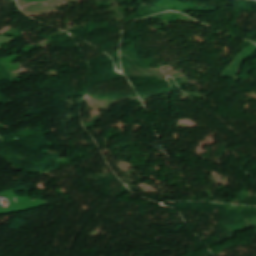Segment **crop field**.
<instances>
[{
  "instance_id": "1",
  "label": "crop field",
  "mask_w": 256,
  "mask_h": 256,
  "mask_svg": "<svg viewBox=\"0 0 256 256\" xmlns=\"http://www.w3.org/2000/svg\"><path fill=\"white\" fill-rule=\"evenodd\" d=\"M13 201H14V199H13ZM15 203V202H14Z\"/></svg>"
}]
</instances>
